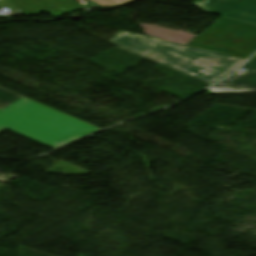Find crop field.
<instances>
[{
    "label": "crop field",
    "mask_w": 256,
    "mask_h": 256,
    "mask_svg": "<svg viewBox=\"0 0 256 256\" xmlns=\"http://www.w3.org/2000/svg\"><path fill=\"white\" fill-rule=\"evenodd\" d=\"M207 84L228 76L245 60L119 31L109 42ZM234 72V71H233Z\"/></svg>",
    "instance_id": "1"
},
{
    "label": "crop field",
    "mask_w": 256,
    "mask_h": 256,
    "mask_svg": "<svg viewBox=\"0 0 256 256\" xmlns=\"http://www.w3.org/2000/svg\"><path fill=\"white\" fill-rule=\"evenodd\" d=\"M6 129L53 149L99 130L25 97L0 111V133Z\"/></svg>",
    "instance_id": "2"
},
{
    "label": "crop field",
    "mask_w": 256,
    "mask_h": 256,
    "mask_svg": "<svg viewBox=\"0 0 256 256\" xmlns=\"http://www.w3.org/2000/svg\"><path fill=\"white\" fill-rule=\"evenodd\" d=\"M203 12L256 24V0H195Z\"/></svg>",
    "instance_id": "3"
},
{
    "label": "crop field",
    "mask_w": 256,
    "mask_h": 256,
    "mask_svg": "<svg viewBox=\"0 0 256 256\" xmlns=\"http://www.w3.org/2000/svg\"><path fill=\"white\" fill-rule=\"evenodd\" d=\"M25 15L46 12L49 16L64 15L84 9L73 0H9Z\"/></svg>",
    "instance_id": "4"
},
{
    "label": "crop field",
    "mask_w": 256,
    "mask_h": 256,
    "mask_svg": "<svg viewBox=\"0 0 256 256\" xmlns=\"http://www.w3.org/2000/svg\"><path fill=\"white\" fill-rule=\"evenodd\" d=\"M209 92H256V74L236 72L223 82L209 88Z\"/></svg>",
    "instance_id": "5"
},
{
    "label": "crop field",
    "mask_w": 256,
    "mask_h": 256,
    "mask_svg": "<svg viewBox=\"0 0 256 256\" xmlns=\"http://www.w3.org/2000/svg\"><path fill=\"white\" fill-rule=\"evenodd\" d=\"M22 96L0 88V110L18 100Z\"/></svg>",
    "instance_id": "6"
},
{
    "label": "crop field",
    "mask_w": 256,
    "mask_h": 256,
    "mask_svg": "<svg viewBox=\"0 0 256 256\" xmlns=\"http://www.w3.org/2000/svg\"><path fill=\"white\" fill-rule=\"evenodd\" d=\"M93 1L99 3L100 5H102L104 7H107V6H111V5H115V4L128 2L130 0H93Z\"/></svg>",
    "instance_id": "7"
},
{
    "label": "crop field",
    "mask_w": 256,
    "mask_h": 256,
    "mask_svg": "<svg viewBox=\"0 0 256 256\" xmlns=\"http://www.w3.org/2000/svg\"><path fill=\"white\" fill-rule=\"evenodd\" d=\"M242 69H246L248 71L256 72V55L253 56L246 64H244Z\"/></svg>",
    "instance_id": "8"
}]
</instances>
